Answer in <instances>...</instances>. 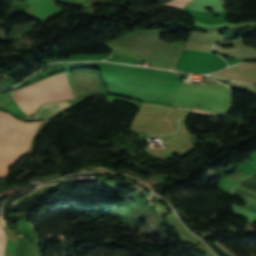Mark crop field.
<instances>
[{"mask_svg": "<svg viewBox=\"0 0 256 256\" xmlns=\"http://www.w3.org/2000/svg\"><path fill=\"white\" fill-rule=\"evenodd\" d=\"M238 182H235V181H232L228 178H223L219 184V187L220 189H223V190H226V191H230L232 188L235 187V185L237 184Z\"/></svg>", "mask_w": 256, "mask_h": 256, "instance_id": "d8731c3e", "label": "crop field"}, {"mask_svg": "<svg viewBox=\"0 0 256 256\" xmlns=\"http://www.w3.org/2000/svg\"><path fill=\"white\" fill-rule=\"evenodd\" d=\"M5 241H6L5 234L0 227V256H3Z\"/></svg>", "mask_w": 256, "mask_h": 256, "instance_id": "5a996713", "label": "crop field"}, {"mask_svg": "<svg viewBox=\"0 0 256 256\" xmlns=\"http://www.w3.org/2000/svg\"><path fill=\"white\" fill-rule=\"evenodd\" d=\"M25 13L29 14L30 16L36 18L38 21L42 22V21L37 17V15L32 11V9H31L30 7L25 11ZM42 23H43V22H42Z\"/></svg>", "mask_w": 256, "mask_h": 256, "instance_id": "d1516ede", "label": "crop field"}, {"mask_svg": "<svg viewBox=\"0 0 256 256\" xmlns=\"http://www.w3.org/2000/svg\"><path fill=\"white\" fill-rule=\"evenodd\" d=\"M106 97H108V98H109V99H111V100H122V101H127V102L132 103V104L137 105V106H140V105H141V103H140V102L133 101V100L119 99V98H114V97H110V96H106Z\"/></svg>", "mask_w": 256, "mask_h": 256, "instance_id": "28ad6ade", "label": "crop field"}, {"mask_svg": "<svg viewBox=\"0 0 256 256\" xmlns=\"http://www.w3.org/2000/svg\"><path fill=\"white\" fill-rule=\"evenodd\" d=\"M68 103L58 102L52 104H44L33 118L26 119V121H36L40 119H46L58 115L59 113L71 108Z\"/></svg>", "mask_w": 256, "mask_h": 256, "instance_id": "f4fd0767", "label": "crop field"}, {"mask_svg": "<svg viewBox=\"0 0 256 256\" xmlns=\"http://www.w3.org/2000/svg\"><path fill=\"white\" fill-rule=\"evenodd\" d=\"M232 191L240 192V193H243V194H246V195H249V196H252V197L256 198V193L248 191L246 189H243L239 186H236Z\"/></svg>", "mask_w": 256, "mask_h": 256, "instance_id": "3316defc", "label": "crop field"}, {"mask_svg": "<svg viewBox=\"0 0 256 256\" xmlns=\"http://www.w3.org/2000/svg\"><path fill=\"white\" fill-rule=\"evenodd\" d=\"M18 124L19 121L0 111V151Z\"/></svg>", "mask_w": 256, "mask_h": 256, "instance_id": "dd49c442", "label": "crop field"}, {"mask_svg": "<svg viewBox=\"0 0 256 256\" xmlns=\"http://www.w3.org/2000/svg\"><path fill=\"white\" fill-rule=\"evenodd\" d=\"M84 0H74L72 4H83Z\"/></svg>", "mask_w": 256, "mask_h": 256, "instance_id": "22f410ed", "label": "crop field"}, {"mask_svg": "<svg viewBox=\"0 0 256 256\" xmlns=\"http://www.w3.org/2000/svg\"><path fill=\"white\" fill-rule=\"evenodd\" d=\"M9 94L27 116L45 102L74 97L66 72L43 78Z\"/></svg>", "mask_w": 256, "mask_h": 256, "instance_id": "34b2d1b8", "label": "crop field"}, {"mask_svg": "<svg viewBox=\"0 0 256 256\" xmlns=\"http://www.w3.org/2000/svg\"><path fill=\"white\" fill-rule=\"evenodd\" d=\"M114 51L150 62L152 66L162 69H174L182 52V43L168 44L149 32H138L106 44Z\"/></svg>", "mask_w": 256, "mask_h": 256, "instance_id": "ac0d7876", "label": "crop field"}, {"mask_svg": "<svg viewBox=\"0 0 256 256\" xmlns=\"http://www.w3.org/2000/svg\"><path fill=\"white\" fill-rule=\"evenodd\" d=\"M80 66L101 67L109 94L153 103H162L172 81L179 82L176 76L170 72L102 62L55 64L48 69L53 73ZM191 113L198 116H215L194 111Z\"/></svg>", "mask_w": 256, "mask_h": 256, "instance_id": "8a807250", "label": "crop field"}, {"mask_svg": "<svg viewBox=\"0 0 256 256\" xmlns=\"http://www.w3.org/2000/svg\"><path fill=\"white\" fill-rule=\"evenodd\" d=\"M190 0H172L163 5V7L175 8V9H182L184 5H186Z\"/></svg>", "mask_w": 256, "mask_h": 256, "instance_id": "e52e79f7", "label": "crop field"}, {"mask_svg": "<svg viewBox=\"0 0 256 256\" xmlns=\"http://www.w3.org/2000/svg\"><path fill=\"white\" fill-rule=\"evenodd\" d=\"M226 62L216 54L184 50L175 69L192 73H209L225 68Z\"/></svg>", "mask_w": 256, "mask_h": 256, "instance_id": "412701ff", "label": "crop field"}]
</instances>
